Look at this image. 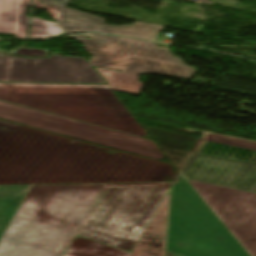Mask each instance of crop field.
<instances>
[{
    "label": "crop field",
    "mask_w": 256,
    "mask_h": 256,
    "mask_svg": "<svg viewBox=\"0 0 256 256\" xmlns=\"http://www.w3.org/2000/svg\"><path fill=\"white\" fill-rule=\"evenodd\" d=\"M0 100L144 138L108 85L0 83Z\"/></svg>",
    "instance_id": "34b2d1b8"
},
{
    "label": "crop field",
    "mask_w": 256,
    "mask_h": 256,
    "mask_svg": "<svg viewBox=\"0 0 256 256\" xmlns=\"http://www.w3.org/2000/svg\"><path fill=\"white\" fill-rule=\"evenodd\" d=\"M104 185H31L0 239V256H63Z\"/></svg>",
    "instance_id": "8a807250"
},
{
    "label": "crop field",
    "mask_w": 256,
    "mask_h": 256,
    "mask_svg": "<svg viewBox=\"0 0 256 256\" xmlns=\"http://www.w3.org/2000/svg\"><path fill=\"white\" fill-rule=\"evenodd\" d=\"M30 185L0 186V236Z\"/></svg>",
    "instance_id": "d1516ede"
},
{
    "label": "crop field",
    "mask_w": 256,
    "mask_h": 256,
    "mask_svg": "<svg viewBox=\"0 0 256 256\" xmlns=\"http://www.w3.org/2000/svg\"><path fill=\"white\" fill-rule=\"evenodd\" d=\"M170 194H165L130 256H164Z\"/></svg>",
    "instance_id": "28ad6ade"
},
{
    "label": "crop field",
    "mask_w": 256,
    "mask_h": 256,
    "mask_svg": "<svg viewBox=\"0 0 256 256\" xmlns=\"http://www.w3.org/2000/svg\"><path fill=\"white\" fill-rule=\"evenodd\" d=\"M212 136L213 135H207L205 140L256 151V142L248 141V140H242V139H239V140H228V139L214 140V139L211 138Z\"/></svg>",
    "instance_id": "733c2abd"
},
{
    "label": "crop field",
    "mask_w": 256,
    "mask_h": 256,
    "mask_svg": "<svg viewBox=\"0 0 256 256\" xmlns=\"http://www.w3.org/2000/svg\"><path fill=\"white\" fill-rule=\"evenodd\" d=\"M0 119L161 161L154 141L0 101Z\"/></svg>",
    "instance_id": "dd49c442"
},
{
    "label": "crop field",
    "mask_w": 256,
    "mask_h": 256,
    "mask_svg": "<svg viewBox=\"0 0 256 256\" xmlns=\"http://www.w3.org/2000/svg\"><path fill=\"white\" fill-rule=\"evenodd\" d=\"M19 0H0V33L15 34Z\"/></svg>",
    "instance_id": "cbeb9de0"
},
{
    "label": "crop field",
    "mask_w": 256,
    "mask_h": 256,
    "mask_svg": "<svg viewBox=\"0 0 256 256\" xmlns=\"http://www.w3.org/2000/svg\"><path fill=\"white\" fill-rule=\"evenodd\" d=\"M40 2L55 4L65 7L69 0H39Z\"/></svg>",
    "instance_id": "4a817a6b"
},
{
    "label": "crop field",
    "mask_w": 256,
    "mask_h": 256,
    "mask_svg": "<svg viewBox=\"0 0 256 256\" xmlns=\"http://www.w3.org/2000/svg\"><path fill=\"white\" fill-rule=\"evenodd\" d=\"M0 81L105 83L84 58L29 59L0 54Z\"/></svg>",
    "instance_id": "e52e79f7"
},
{
    "label": "crop field",
    "mask_w": 256,
    "mask_h": 256,
    "mask_svg": "<svg viewBox=\"0 0 256 256\" xmlns=\"http://www.w3.org/2000/svg\"><path fill=\"white\" fill-rule=\"evenodd\" d=\"M60 27V26H59ZM55 22L45 21L32 17L29 38L45 39L59 34H64Z\"/></svg>",
    "instance_id": "5142ce71"
},
{
    "label": "crop field",
    "mask_w": 256,
    "mask_h": 256,
    "mask_svg": "<svg viewBox=\"0 0 256 256\" xmlns=\"http://www.w3.org/2000/svg\"><path fill=\"white\" fill-rule=\"evenodd\" d=\"M44 6L61 12L59 17L64 19L61 22H57V24L65 34L95 31L155 41L163 29L162 26L139 22H136L133 26H111L103 24L104 21L101 18L78 11L49 4H44Z\"/></svg>",
    "instance_id": "3316defc"
},
{
    "label": "crop field",
    "mask_w": 256,
    "mask_h": 256,
    "mask_svg": "<svg viewBox=\"0 0 256 256\" xmlns=\"http://www.w3.org/2000/svg\"><path fill=\"white\" fill-rule=\"evenodd\" d=\"M97 70L100 72L112 90L137 95L140 94L142 84L138 81L139 75L101 68H97Z\"/></svg>",
    "instance_id": "22f410ed"
},
{
    "label": "crop field",
    "mask_w": 256,
    "mask_h": 256,
    "mask_svg": "<svg viewBox=\"0 0 256 256\" xmlns=\"http://www.w3.org/2000/svg\"><path fill=\"white\" fill-rule=\"evenodd\" d=\"M69 36L82 43L84 49L92 54V66L125 71L137 74L156 73L189 79L197 70L185 66L180 57L171 56L166 48L156 47V43L109 37L101 34Z\"/></svg>",
    "instance_id": "f4fd0767"
},
{
    "label": "crop field",
    "mask_w": 256,
    "mask_h": 256,
    "mask_svg": "<svg viewBox=\"0 0 256 256\" xmlns=\"http://www.w3.org/2000/svg\"><path fill=\"white\" fill-rule=\"evenodd\" d=\"M165 256H249L183 176L171 188Z\"/></svg>",
    "instance_id": "412701ff"
},
{
    "label": "crop field",
    "mask_w": 256,
    "mask_h": 256,
    "mask_svg": "<svg viewBox=\"0 0 256 256\" xmlns=\"http://www.w3.org/2000/svg\"><path fill=\"white\" fill-rule=\"evenodd\" d=\"M31 0H20L16 38H26L28 20L29 17H26L27 6H30Z\"/></svg>",
    "instance_id": "d9b57169"
},
{
    "label": "crop field",
    "mask_w": 256,
    "mask_h": 256,
    "mask_svg": "<svg viewBox=\"0 0 256 256\" xmlns=\"http://www.w3.org/2000/svg\"><path fill=\"white\" fill-rule=\"evenodd\" d=\"M212 138H214V139H219V138L238 139V138L222 136V135H216V134Z\"/></svg>",
    "instance_id": "bc2a9ffb"
},
{
    "label": "crop field",
    "mask_w": 256,
    "mask_h": 256,
    "mask_svg": "<svg viewBox=\"0 0 256 256\" xmlns=\"http://www.w3.org/2000/svg\"><path fill=\"white\" fill-rule=\"evenodd\" d=\"M183 173L192 180L256 192V164L196 153Z\"/></svg>",
    "instance_id": "5a996713"
},
{
    "label": "crop field",
    "mask_w": 256,
    "mask_h": 256,
    "mask_svg": "<svg viewBox=\"0 0 256 256\" xmlns=\"http://www.w3.org/2000/svg\"><path fill=\"white\" fill-rule=\"evenodd\" d=\"M171 183L106 184L65 256H129Z\"/></svg>",
    "instance_id": "ac0d7876"
},
{
    "label": "crop field",
    "mask_w": 256,
    "mask_h": 256,
    "mask_svg": "<svg viewBox=\"0 0 256 256\" xmlns=\"http://www.w3.org/2000/svg\"><path fill=\"white\" fill-rule=\"evenodd\" d=\"M250 256H256V193L188 181Z\"/></svg>",
    "instance_id": "d8731c3e"
}]
</instances>
